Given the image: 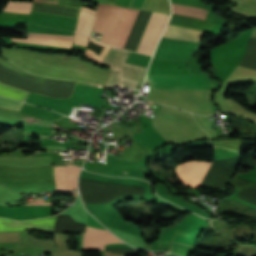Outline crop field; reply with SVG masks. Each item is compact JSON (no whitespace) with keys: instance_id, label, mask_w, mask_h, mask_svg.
I'll use <instances>...</instances> for the list:
<instances>
[{"instance_id":"19","label":"crop field","mask_w":256,"mask_h":256,"mask_svg":"<svg viewBox=\"0 0 256 256\" xmlns=\"http://www.w3.org/2000/svg\"><path fill=\"white\" fill-rule=\"evenodd\" d=\"M42 198H44V197H38L36 199H42ZM36 199H34V200H36ZM26 205H52V198L46 199V200L43 199V200L32 201Z\"/></svg>"},{"instance_id":"5","label":"crop field","mask_w":256,"mask_h":256,"mask_svg":"<svg viewBox=\"0 0 256 256\" xmlns=\"http://www.w3.org/2000/svg\"><path fill=\"white\" fill-rule=\"evenodd\" d=\"M168 17L160 14L153 13L145 34L141 40L138 52L151 55L158 37L167 23ZM162 34V33H161Z\"/></svg>"},{"instance_id":"15","label":"crop field","mask_w":256,"mask_h":256,"mask_svg":"<svg viewBox=\"0 0 256 256\" xmlns=\"http://www.w3.org/2000/svg\"><path fill=\"white\" fill-rule=\"evenodd\" d=\"M22 102L0 98V107L20 111Z\"/></svg>"},{"instance_id":"18","label":"crop field","mask_w":256,"mask_h":256,"mask_svg":"<svg viewBox=\"0 0 256 256\" xmlns=\"http://www.w3.org/2000/svg\"><path fill=\"white\" fill-rule=\"evenodd\" d=\"M89 36L85 34L75 33V43L87 45Z\"/></svg>"},{"instance_id":"8","label":"crop field","mask_w":256,"mask_h":256,"mask_svg":"<svg viewBox=\"0 0 256 256\" xmlns=\"http://www.w3.org/2000/svg\"><path fill=\"white\" fill-rule=\"evenodd\" d=\"M79 169L71 163L68 166L53 167L54 190H77V174Z\"/></svg>"},{"instance_id":"1","label":"crop field","mask_w":256,"mask_h":256,"mask_svg":"<svg viewBox=\"0 0 256 256\" xmlns=\"http://www.w3.org/2000/svg\"><path fill=\"white\" fill-rule=\"evenodd\" d=\"M138 11L116 5L98 4L92 31L103 33L99 41L123 48Z\"/></svg>"},{"instance_id":"9","label":"crop field","mask_w":256,"mask_h":256,"mask_svg":"<svg viewBox=\"0 0 256 256\" xmlns=\"http://www.w3.org/2000/svg\"><path fill=\"white\" fill-rule=\"evenodd\" d=\"M52 163L51 156L22 158V157H0V165H9L19 168L47 166Z\"/></svg>"},{"instance_id":"2","label":"crop field","mask_w":256,"mask_h":256,"mask_svg":"<svg viewBox=\"0 0 256 256\" xmlns=\"http://www.w3.org/2000/svg\"><path fill=\"white\" fill-rule=\"evenodd\" d=\"M130 52L110 47L102 63L111 65L113 69L106 86L113 87L121 84L126 87L135 88L144 70V67L124 63Z\"/></svg>"},{"instance_id":"13","label":"crop field","mask_w":256,"mask_h":256,"mask_svg":"<svg viewBox=\"0 0 256 256\" xmlns=\"http://www.w3.org/2000/svg\"><path fill=\"white\" fill-rule=\"evenodd\" d=\"M27 93L0 83V96L23 101Z\"/></svg>"},{"instance_id":"6","label":"crop field","mask_w":256,"mask_h":256,"mask_svg":"<svg viewBox=\"0 0 256 256\" xmlns=\"http://www.w3.org/2000/svg\"><path fill=\"white\" fill-rule=\"evenodd\" d=\"M210 165L211 163L200 161L184 162L176 167V174L187 186L196 187L199 185Z\"/></svg>"},{"instance_id":"17","label":"crop field","mask_w":256,"mask_h":256,"mask_svg":"<svg viewBox=\"0 0 256 256\" xmlns=\"http://www.w3.org/2000/svg\"><path fill=\"white\" fill-rule=\"evenodd\" d=\"M173 241L179 242V243H183V244H187V245H191V246L193 245L192 242H188V241H184V240H180V239H176V238H174ZM170 252L177 253V254H179V255H181V256H186L187 253H188L187 250L178 249V248H174V247L171 248V251H170Z\"/></svg>"},{"instance_id":"7","label":"crop field","mask_w":256,"mask_h":256,"mask_svg":"<svg viewBox=\"0 0 256 256\" xmlns=\"http://www.w3.org/2000/svg\"><path fill=\"white\" fill-rule=\"evenodd\" d=\"M56 216L35 220L14 221L0 218V232L24 229H35L53 233V224Z\"/></svg>"},{"instance_id":"20","label":"crop field","mask_w":256,"mask_h":256,"mask_svg":"<svg viewBox=\"0 0 256 256\" xmlns=\"http://www.w3.org/2000/svg\"><path fill=\"white\" fill-rule=\"evenodd\" d=\"M82 9H85V10H88V11H90V12H93V13H95V11L94 10H91V9H88V8H86V7H81Z\"/></svg>"},{"instance_id":"10","label":"crop field","mask_w":256,"mask_h":256,"mask_svg":"<svg viewBox=\"0 0 256 256\" xmlns=\"http://www.w3.org/2000/svg\"><path fill=\"white\" fill-rule=\"evenodd\" d=\"M202 34V31L168 25L163 36L199 42L198 39Z\"/></svg>"},{"instance_id":"12","label":"crop field","mask_w":256,"mask_h":256,"mask_svg":"<svg viewBox=\"0 0 256 256\" xmlns=\"http://www.w3.org/2000/svg\"><path fill=\"white\" fill-rule=\"evenodd\" d=\"M93 18H94L93 14L81 10L75 31L83 32L85 34L90 35Z\"/></svg>"},{"instance_id":"3","label":"crop field","mask_w":256,"mask_h":256,"mask_svg":"<svg viewBox=\"0 0 256 256\" xmlns=\"http://www.w3.org/2000/svg\"><path fill=\"white\" fill-rule=\"evenodd\" d=\"M149 88L156 89H214V84L204 75L160 76L147 75Z\"/></svg>"},{"instance_id":"14","label":"crop field","mask_w":256,"mask_h":256,"mask_svg":"<svg viewBox=\"0 0 256 256\" xmlns=\"http://www.w3.org/2000/svg\"><path fill=\"white\" fill-rule=\"evenodd\" d=\"M31 4L32 3H29V2H14V1H11L7 5V7L4 9V11L29 14Z\"/></svg>"},{"instance_id":"4","label":"crop field","mask_w":256,"mask_h":256,"mask_svg":"<svg viewBox=\"0 0 256 256\" xmlns=\"http://www.w3.org/2000/svg\"><path fill=\"white\" fill-rule=\"evenodd\" d=\"M241 155L223 161L214 162L201 185L226 190L227 183L236 172Z\"/></svg>"},{"instance_id":"16","label":"crop field","mask_w":256,"mask_h":256,"mask_svg":"<svg viewBox=\"0 0 256 256\" xmlns=\"http://www.w3.org/2000/svg\"><path fill=\"white\" fill-rule=\"evenodd\" d=\"M55 237H56L57 244H58V250H63V249L68 248L67 243H66L68 241L67 236H65L63 234H55Z\"/></svg>"},{"instance_id":"11","label":"crop field","mask_w":256,"mask_h":256,"mask_svg":"<svg viewBox=\"0 0 256 256\" xmlns=\"http://www.w3.org/2000/svg\"><path fill=\"white\" fill-rule=\"evenodd\" d=\"M12 41L22 42V43H31V44H40V45H49V46H58V47H67L72 48L73 41H58V40H43V39H14L10 38Z\"/></svg>"}]
</instances>
